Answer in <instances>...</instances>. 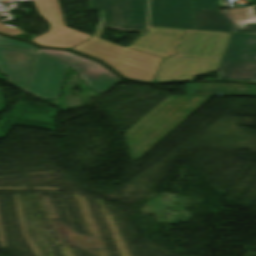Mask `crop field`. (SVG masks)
<instances>
[{"label": "crop field", "instance_id": "crop-field-10", "mask_svg": "<svg viewBox=\"0 0 256 256\" xmlns=\"http://www.w3.org/2000/svg\"><path fill=\"white\" fill-rule=\"evenodd\" d=\"M33 57L34 52L0 47V73L7 77V83L25 91Z\"/></svg>", "mask_w": 256, "mask_h": 256}, {"label": "crop field", "instance_id": "crop-field-17", "mask_svg": "<svg viewBox=\"0 0 256 256\" xmlns=\"http://www.w3.org/2000/svg\"><path fill=\"white\" fill-rule=\"evenodd\" d=\"M0 32L8 34V35H12V36L24 33L19 28L12 27V26H7V25H3V24H0Z\"/></svg>", "mask_w": 256, "mask_h": 256}, {"label": "crop field", "instance_id": "crop-field-19", "mask_svg": "<svg viewBox=\"0 0 256 256\" xmlns=\"http://www.w3.org/2000/svg\"><path fill=\"white\" fill-rule=\"evenodd\" d=\"M252 81H256V73H255L254 78H253V80H252Z\"/></svg>", "mask_w": 256, "mask_h": 256}, {"label": "crop field", "instance_id": "crop-field-15", "mask_svg": "<svg viewBox=\"0 0 256 256\" xmlns=\"http://www.w3.org/2000/svg\"><path fill=\"white\" fill-rule=\"evenodd\" d=\"M192 1H193V9L218 7L217 4L219 2V0H192Z\"/></svg>", "mask_w": 256, "mask_h": 256}, {"label": "crop field", "instance_id": "crop-field-4", "mask_svg": "<svg viewBox=\"0 0 256 256\" xmlns=\"http://www.w3.org/2000/svg\"><path fill=\"white\" fill-rule=\"evenodd\" d=\"M217 80L251 81L256 70V35L233 33Z\"/></svg>", "mask_w": 256, "mask_h": 256}, {"label": "crop field", "instance_id": "crop-field-6", "mask_svg": "<svg viewBox=\"0 0 256 256\" xmlns=\"http://www.w3.org/2000/svg\"><path fill=\"white\" fill-rule=\"evenodd\" d=\"M3 2L25 1V0H0ZM39 13L51 24L48 33L32 40L41 46H52L60 48H71L90 35L76 30L68 29L64 25L58 0H34Z\"/></svg>", "mask_w": 256, "mask_h": 256}, {"label": "crop field", "instance_id": "crop-field-18", "mask_svg": "<svg viewBox=\"0 0 256 256\" xmlns=\"http://www.w3.org/2000/svg\"><path fill=\"white\" fill-rule=\"evenodd\" d=\"M250 5H256V0H249Z\"/></svg>", "mask_w": 256, "mask_h": 256}, {"label": "crop field", "instance_id": "crop-field-9", "mask_svg": "<svg viewBox=\"0 0 256 256\" xmlns=\"http://www.w3.org/2000/svg\"><path fill=\"white\" fill-rule=\"evenodd\" d=\"M151 26L193 29L191 0H151Z\"/></svg>", "mask_w": 256, "mask_h": 256}, {"label": "crop field", "instance_id": "crop-field-8", "mask_svg": "<svg viewBox=\"0 0 256 256\" xmlns=\"http://www.w3.org/2000/svg\"><path fill=\"white\" fill-rule=\"evenodd\" d=\"M38 51L56 56L78 71L91 88L102 94L112 86L119 83V79L110 70L100 63L82 57L69 51L51 50L39 48Z\"/></svg>", "mask_w": 256, "mask_h": 256}, {"label": "crop field", "instance_id": "crop-field-14", "mask_svg": "<svg viewBox=\"0 0 256 256\" xmlns=\"http://www.w3.org/2000/svg\"><path fill=\"white\" fill-rule=\"evenodd\" d=\"M0 45L20 46V47L30 48L34 50L38 49L37 47H34L28 43H24L21 41L13 40V39L2 37V36H0Z\"/></svg>", "mask_w": 256, "mask_h": 256}, {"label": "crop field", "instance_id": "crop-field-1", "mask_svg": "<svg viewBox=\"0 0 256 256\" xmlns=\"http://www.w3.org/2000/svg\"><path fill=\"white\" fill-rule=\"evenodd\" d=\"M102 32L72 49L107 62L127 78L152 82L162 58L175 54L184 31L152 28L129 48L98 39Z\"/></svg>", "mask_w": 256, "mask_h": 256}, {"label": "crop field", "instance_id": "crop-field-7", "mask_svg": "<svg viewBox=\"0 0 256 256\" xmlns=\"http://www.w3.org/2000/svg\"><path fill=\"white\" fill-rule=\"evenodd\" d=\"M66 68L64 63L36 53L26 92L40 98L58 99Z\"/></svg>", "mask_w": 256, "mask_h": 256}, {"label": "crop field", "instance_id": "crop-field-12", "mask_svg": "<svg viewBox=\"0 0 256 256\" xmlns=\"http://www.w3.org/2000/svg\"><path fill=\"white\" fill-rule=\"evenodd\" d=\"M194 29L232 32L231 19L218 8L193 10Z\"/></svg>", "mask_w": 256, "mask_h": 256}, {"label": "crop field", "instance_id": "crop-field-3", "mask_svg": "<svg viewBox=\"0 0 256 256\" xmlns=\"http://www.w3.org/2000/svg\"><path fill=\"white\" fill-rule=\"evenodd\" d=\"M211 97L169 96L127 131L132 162L149 151Z\"/></svg>", "mask_w": 256, "mask_h": 256}, {"label": "crop field", "instance_id": "crop-field-2", "mask_svg": "<svg viewBox=\"0 0 256 256\" xmlns=\"http://www.w3.org/2000/svg\"><path fill=\"white\" fill-rule=\"evenodd\" d=\"M230 34L185 30L176 55L162 61L153 82L193 80L216 71Z\"/></svg>", "mask_w": 256, "mask_h": 256}, {"label": "crop field", "instance_id": "crop-field-16", "mask_svg": "<svg viewBox=\"0 0 256 256\" xmlns=\"http://www.w3.org/2000/svg\"><path fill=\"white\" fill-rule=\"evenodd\" d=\"M233 32L256 34V23H244L241 29H233Z\"/></svg>", "mask_w": 256, "mask_h": 256}, {"label": "crop field", "instance_id": "crop-field-11", "mask_svg": "<svg viewBox=\"0 0 256 256\" xmlns=\"http://www.w3.org/2000/svg\"><path fill=\"white\" fill-rule=\"evenodd\" d=\"M187 95H234L256 96V87L253 85L223 84V83H193L186 84Z\"/></svg>", "mask_w": 256, "mask_h": 256}, {"label": "crop field", "instance_id": "crop-field-13", "mask_svg": "<svg viewBox=\"0 0 256 256\" xmlns=\"http://www.w3.org/2000/svg\"><path fill=\"white\" fill-rule=\"evenodd\" d=\"M234 19H248L255 17V8L248 7V8H241V9H231L227 10Z\"/></svg>", "mask_w": 256, "mask_h": 256}, {"label": "crop field", "instance_id": "crop-field-5", "mask_svg": "<svg viewBox=\"0 0 256 256\" xmlns=\"http://www.w3.org/2000/svg\"><path fill=\"white\" fill-rule=\"evenodd\" d=\"M89 11H101L97 28H109L122 20L117 30L143 31L146 28L147 0H89Z\"/></svg>", "mask_w": 256, "mask_h": 256}]
</instances>
